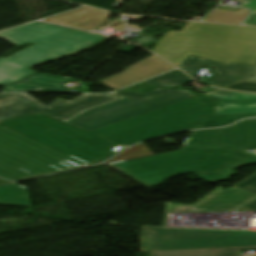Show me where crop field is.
Here are the masks:
<instances>
[{"mask_svg": "<svg viewBox=\"0 0 256 256\" xmlns=\"http://www.w3.org/2000/svg\"><path fill=\"white\" fill-rule=\"evenodd\" d=\"M216 102L193 97L92 132L43 114L3 121L0 125L92 165L140 140L193 129L200 116L213 115Z\"/></svg>", "mask_w": 256, "mask_h": 256, "instance_id": "obj_1", "label": "crop field"}, {"mask_svg": "<svg viewBox=\"0 0 256 256\" xmlns=\"http://www.w3.org/2000/svg\"><path fill=\"white\" fill-rule=\"evenodd\" d=\"M151 51L176 66L188 55L255 66L256 28L189 23L181 32L169 31Z\"/></svg>", "mask_w": 256, "mask_h": 256, "instance_id": "obj_2", "label": "crop field"}, {"mask_svg": "<svg viewBox=\"0 0 256 256\" xmlns=\"http://www.w3.org/2000/svg\"><path fill=\"white\" fill-rule=\"evenodd\" d=\"M255 163V157L232 151L181 148L108 166L150 189L171 176L186 172H194L207 181L229 179L236 173L234 168Z\"/></svg>", "mask_w": 256, "mask_h": 256, "instance_id": "obj_3", "label": "crop field"}, {"mask_svg": "<svg viewBox=\"0 0 256 256\" xmlns=\"http://www.w3.org/2000/svg\"><path fill=\"white\" fill-rule=\"evenodd\" d=\"M0 37L17 45L35 43L7 59L0 58V84L13 83L34 73L26 68L28 66L89 48L104 39L100 35L46 23L24 25L0 33Z\"/></svg>", "mask_w": 256, "mask_h": 256, "instance_id": "obj_4", "label": "crop field"}, {"mask_svg": "<svg viewBox=\"0 0 256 256\" xmlns=\"http://www.w3.org/2000/svg\"><path fill=\"white\" fill-rule=\"evenodd\" d=\"M86 164L0 127V177L9 181L52 174Z\"/></svg>", "mask_w": 256, "mask_h": 256, "instance_id": "obj_5", "label": "crop field"}, {"mask_svg": "<svg viewBox=\"0 0 256 256\" xmlns=\"http://www.w3.org/2000/svg\"><path fill=\"white\" fill-rule=\"evenodd\" d=\"M116 94L128 97L91 108L65 123L85 131H92L195 96L187 90L160 88L143 93L117 92Z\"/></svg>", "mask_w": 256, "mask_h": 256, "instance_id": "obj_6", "label": "crop field"}, {"mask_svg": "<svg viewBox=\"0 0 256 256\" xmlns=\"http://www.w3.org/2000/svg\"><path fill=\"white\" fill-rule=\"evenodd\" d=\"M256 246V232L141 228V252Z\"/></svg>", "mask_w": 256, "mask_h": 256, "instance_id": "obj_7", "label": "crop field"}, {"mask_svg": "<svg viewBox=\"0 0 256 256\" xmlns=\"http://www.w3.org/2000/svg\"><path fill=\"white\" fill-rule=\"evenodd\" d=\"M120 98L122 97L114 95H82L70 102L59 99L45 106L26 93H1L0 121L33 113H43L64 122L88 108Z\"/></svg>", "mask_w": 256, "mask_h": 256, "instance_id": "obj_8", "label": "crop field"}, {"mask_svg": "<svg viewBox=\"0 0 256 256\" xmlns=\"http://www.w3.org/2000/svg\"><path fill=\"white\" fill-rule=\"evenodd\" d=\"M183 147L224 148L243 152L256 150V118L222 129L192 131Z\"/></svg>", "mask_w": 256, "mask_h": 256, "instance_id": "obj_9", "label": "crop field"}, {"mask_svg": "<svg viewBox=\"0 0 256 256\" xmlns=\"http://www.w3.org/2000/svg\"><path fill=\"white\" fill-rule=\"evenodd\" d=\"M255 199L256 197L233 188L225 192L218 187L194 205L168 204L166 213L238 211Z\"/></svg>", "mask_w": 256, "mask_h": 256, "instance_id": "obj_10", "label": "crop field"}, {"mask_svg": "<svg viewBox=\"0 0 256 256\" xmlns=\"http://www.w3.org/2000/svg\"><path fill=\"white\" fill-rule=\"evenodd\" d=\"M213 68L216 77L204 82V84L220 87L239 80L256 81V67L236 64H221L193 56L187 57L177 67L181 68L190 76L195 75L203 66Z\"/></svg>", "mask_w": 256, "mask_h": 256, "instance_id": "obj_11", "label": "crop field"}, {"mask_svg": "<svg viewBox=\"0 0 256 256\" xmlns=\"http://www.w3.org/2000/svg\"><path fill=\"white\" fill-rule=\"evenodd\" d=\"M172 68L173 66L153 55L101 83L117 90Z\"/></svg>", "mask_w": 256, "mask_h": 256, "instance_id": "obj_12", "label": "crop field"}, {"mask_svg": "<svg viewBox=\"0 0 256 256\" xmlns=\"http://www.w3.org/2000/svg\"><path fill=\"white\" fill-rule=\"evenodd\" d=\"M66 81H69V79L57 78L45 74H32L19 82L0 86H4L2 91L43 92L44 90H51L65 92L67 89L63 87L62 83Z\"/></svg>", "mask_w": 256, "mask_h": 256, "instance_id": "obj_13", "label": "crop field"}, {"mask_svg": "<svg viewBox=\"0 0 256 256\" xmlns=\"http://www.w3.org/2000/svg\"><path fill=\"white\" fill-rule=\"evenodd\" d=\"M108 16V13L90 8H82L72 12L60 14L46 20L77 27L83 30H89L98 28Z\"/></svg>", "mask_w": 256, "mask_h": 256, "instance_id": "obj_14", "label": "crop field"}, {"mask_svg": "<svg viewBox=\"0 0 256 256\" xmlns=\"http://www.w3.org/2000/svg\"><path fill=\"white\" fill-rule=\"evenodd\" d=\"M0 205L31 207L26 188L18 184L0 186Z\"/></svg>", "mask_w": 256, "mask_h": 256, "instance_id": "obj_15", "label": "crop field"}, {"mask_svg": "<svg viewBox=\"0 0 256 256\" xmlns=\"http://www.w3.org/2000/svg\"><path fill=\"white\" fill-rule=\"evenodd\" d=\"M247 250L256 251V247L151 252V256H237L238 251Z\"/></svg>", "mask_w": 256, "mask_h": 256, "instance_id": "obj_16", "label": "crop field"}, {"mask_svg": "<svg viewBox=\"0 0 256 256\" xmlns=\"http://www.w3.org/2000/svg\"><path fill=\"white\" fill-rule=\"evenodd\" d=\"M250 13L242 9L238 12L216 8L203 21L215 23L240 24Z\"/></svg>", "mask_w": 256, "mask_h": 256, "instance_id": "obj_17", "label": "crop field"}, {"mask_svg": "<svg viewBox=\"0 0 256 256\" xmlns=\"http://www.w3.org/2000/svg\"><path fill=\"white\" fill-rule=\"evenodd\" d=\"M256 116V114H241V115H223V116H209L200 117L194 129L212 128L226 126L234 121L242 118Z\"/></svg>", "mask_w": 256, "mask_h": 256, "instance_id": "obj_18", "label": "crop field"}, {"mask_svg": "<svg viewBox=\"0 0 256 256\" xmlns=\"http://www.w3.org/2000/svg\"><path fill=\"white\" fill-rule=\"evenodd\" d=\"M192 81L183 73L179 72L178 70L157 76L155 78L149 79L145 81L146 83L159 86V87H173L179 86L185 83Z\"/></svg>", "mask_w": 256, "mask_h": 256, "instance_id": "obj_19", "label": "crop field"}, {"mask_svg": "<svg viewBox=\"0 0 256 256\" xmlns=\"http://www.w3.org/2000/svg\"><path fill=\"white\" fill-rule=\"evenodd\" d=\"M256 113V102L223 103L218 101L214 115Z\"/></svg>", "mask_w": 256, "mask_h": 256, "instance_id": "obj_20", "label": "crop field"}, {"mask_svg": "<svg viewBox=\"0 0 256 256\" xmlns=\"http://www.w3.org/2000/svg\"><path fill=\"white\" fill-rule=\"evenodd\" d=\"M233 188L256 196V174L237 184Z\"/></svg>", "mask_w": 256, "mask_h": 256, "instance_id": "obj_21", "label": "crop field"}, {"mask_svg": "<svg viewBox=\"0 0 256 256\" xmlns=\"http://www.w3.org/2000/svg\"><path fill=\"white\" fill-rule=\"evenodd\" d=\"M243 100H256V95L230 92L223 99H221V101H243Z\"/></svg>", "mask_w": 256, "mask_h": 256, "instance_id": "obj_22", "label": "crop field"}, {"mask_svg": "<svg viewBox=\"0 0 256 256\" xmlns=\"http://www.w3.org/2000/svg\"><path fill=\"white\" fill-rule=\"evenodd\" d=\"M225 89L240 90L246 92H256V83L241 82L232 86L225 87Z\"/></svg>", "mask_w": 256, "mask_h": 256, "instance_id": "obj_23", "label": "crop field"}, {"mask_svg": "<svg viewBox=\"0 0 256 256\" xmlns=\"http://www.w3.org/2000/svg\"><path fill=\"white\" fill-rule=\"evenodd\" d=\"M250 1L245 8L254 10L253 14L246 20L245 25L256 26V0H247Z\"/></svg>", "mask_w": 256, "mask_h": 256, "instance_id": "obj_24", "label": "crop field"}, {"mask_svg": "<svg viewBox=\"0 0 256 256\" xmlns=\"http://www.w3.org/2000/svg\"><path fill=\"white\" fill-rule=\"evenodd\" d=\"M227 93V91H221V90H216L213 92H209L204 94L205 96L209 97V98H213V99H217L220 100L221 98H223Z\"/></svg>", "mask_w": 256, "mask_h": 256, "instance_id": "obj_25", "label": "crop field"}, {"mask_svg": "<svg viewBox=\"0 0 256 256\" xmlns=\"http://www.w3.org/2000/svg\"><path fill=\"white\" fill-rule=\"evenodd\" d=\"M148 87H151V86L146 84V83H144V82H142V83H139L137 85L125 88L122 91H140V90L146 89Z\"/></svg>", "mask_w": 256, "mask_h": 256, "instance_id": "obj_26", "label": "crop field"}, {"mask_svg": "<svg viewBox=\"0 0 256 256\" xmlns=\"http://www.w3.org/2000/svg\"><path fill=\"white\" fill-rule=\"evenodd\" d=\"M240 211H256V200L241 209Z\"/></svg>", "mask_w": 256, "mask_h": 256, "instance_id": "obj_27", "label": "crop field"}, {"mask_svg": "<svg viewBox=\"0 0 256 256\" xmlns=\"http://www.w3.org/2000/svg\"><path fill=\"white\" fill-rule=\"evenodd\" d=\"M3 183H8V182L5 181V180L0 179V184H3Z\"/></svg>", "mask_w": 256, "mask_h": 256, "instance_id": "obj_28", "label": "crop field"}]
</instances>
